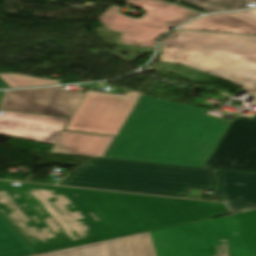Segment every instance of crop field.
Masks as SVG:
<instances>
[{
    "mask_svg": "<svg viewBox=\"0 0 256 256\" xmlns=\"http://www.w3.org/2000/svg\"><path fill=\"white\" fill-rule=\"evenodd\" d=\"M0 212L35 254L230 213L217 202L6 181Z\"/></svg>",
    "mask_w": 256,
    "mask_h": 256,
    "instance_id": "8a807250",
    "label": "crop field"
},
{
    "mask_svg": "<svg viewBox=\"0 0 256 256\" xmlns=\"http://www.w3.org/2000/svg\"><path fill=\"white\" fill-rule=\"evenodd\" d=\"M141 95L106 158L203 167L231 122Z\"/></svg>",
    "mask_w": 256,
    "mask_h": 256,
    "instance_id": "ac0d7876",
    "label": "crop field"
},
{
    "mask_svg": "<svg viewBox=\"0 0 256 256\" xmlns=\"http://www.w3.org/2000/svg\"><path fill=\"white\" fill-rule=\"evenodd\" d=\"M58 185L186 198L190 188L216 190L213 170L93 157Z\"/></svg>",
    "mask_w": 256,
    "mask_h": 256,
    "instance_id": "34b2d1b8",
    "label": "crop field"
},
{
    "mask_svg": "<svg viewBox=\"0 0 256 256\" xmlns=\"http://www.w3.org/2000/svg\"><path fill=\"white\" fill-rule=\"evenodd\" d=\"M160 61L231 80L256 97V37L178 31L163 40Z\"/></svg>",
    "mask_w": 256,
    "mask_h": 256,
    "instance_id": "412701ff",
    "label": "crop field"
},
{
    "mask_svg": "<svg viewBox=\"0 0 256 256\" xmlns=\"http://www.w3.org/2000/svg\"><path fill=\"white\" fill-rule=\"evenodd\" d=\"M150 233L156 256H256V210Z\"/></svg>",
    "mask_w": 256,
    "mask_h": 256,
    "instance_id": "f4fd0767",
    "label": "crop field"
},
{
    "mask_svg": "<svg viewBox=\"0 0 256 256\" xmlns=\"http://www.w3.org/2000/svg\"><path fill=\"white\" fill-rule=\"evenodd\" d=\"M126 3L143 8L141 19H132L119 13L113 5L98 21L110 30L123 34L122 39L129 45L154 47L161 35L177 25L198 15L178 6L155 0H130Z\"/></svg>",
    "mask_w": 256,
    "mask_h": 256,
    "instance_id": "dd49c442",
    "label": "crop field"
},
{
    "mask_svg": "<svg viewBox=\"0 0 256 256\" xmlns=\"http://www.w3.org/2000/svg\"><path fill=\"white\" fill-rule=\"evenodd\" d=\"M141 94L87 91L65 129L117 136Z\"/></svg>",
    "mask_w": 256,
    "mask_h": 256,
    "instance_id": "e52e79f7",
    "label": "crop field"
},
{
    "mask_svg": "<svg viewBox=\"0 0 256 256\" xmlns=\"http://www.w3.org/2000/svg\"><path fill=\"white\" fill-rule=\"evenodd\" d=\"M206 167L256 173V117L233 122Z\"/></svg>",
    "mask_w": 256,
    "mask_h": 256,
    "instance_id": "d8731c3e",
    "label": "crop field"
},
{
    "mask_svg": "<svg viewBox=\"0 0 256 256\" xmlns=\"http://www.w3.org/2000/svg\"><path fill=\"white\" fill-rule=\"evenodd\" d=\"M62 89L7 91L1 108L71 118L84 94Z\"/></svg>",
    "mask_w": 256,
    "mask_h": 256,
    "instance_id": "5a996713",
    "label": "crop field"
},
{
    "mask_svg": "<svg viewBox=\"0 0 256 256\" xmlns=\"http://www.w3.org/2000/svg\"><path fill=\"white\" fill-rule=\"evenodd\" d=\"M67 119L6 111L0 135L54 145Z\"/></svg>",
    "mask_w": 256,
    "mask_h": 256,
    "instance_id": "3316defc",
    "label": "crop field"
},
{
    "mask_svg": "<svg viewBox=\"0 0 256 256\" xmlns=\"http://www.w3.org/2000/svg\"><path fill=\"white\" fill-rule=\"evenodd\" d=\"M37 256H155V252L147 232Z\"/></svg>",
    "mask_w": 256,
    "mask_h": 256,
    "instance_id": "28ad6ade",
    "label": "crop field"
},
{
    "mask_svg": "<svg viewBox=\"0 0 256 256\" xmlns=\"http://www.w3.org/2000/svg\"><path fill=\"white\" fill-rule=\"evenodd\" d=\"M219 196L233 212L256 209V174L216 171Z\"/></svg>",
    "mask_w": 256,
    "mask_h": 256,
    "instance_id": "d1516ede",
    "label": "crop field"
},
{
    "mask_svg": "<svg viewBox=\"0 0 256 256\" xmlns=\"http://www.w3.org/2000/svg\"><path fill=\"white\" fill-rule=\"evenodd\" d=\"M113 138L62 131L51 152L103 157Z\"/></svg>",
    "mask_w": 256,
    "mask_h": 256,
    "instance_id": "22f410ed",
    "label": "crop field"
},
{
    "mask_svg": "<svg viewBox=\"0 0 256 256\" xmlns=\"http://www.w3.org/2000/svg\"><path fill=\"white\" fill-rule=\"evenodd\" d=\"M182 29L256 34V22L231 13L215 14L202 17Z\"/></svg>",
    "mask_w": 256,
    "mask_h": 256,
    "instance_id": "cbeb9de0",
    "label": "crop field"
},
{
    "mask_svg": "<svg viewBox=\"0 0 256 256\" xmlns=\"http://www.w3.org/2000/svg\"><path fill=\"white\" fill-rule=\"evenodd\" d=\"M33 251L0 213V256H31Z\"/></svg>",
    "mask_w": 256,
    "mask_h": 256,
    "instance_id": "5142ce71",
    "label": "crop field"
},
{
    "mask_svg": "<svg viewBox=\"0 0 256 256\" xmlns=\"http://www.w3.org/2000/svg\"><path fill=\"white\" fill-rule=\"evenodd\" d=\"M256 0H185V2L207 12L246 8L248 2Z\"/></svg>",
    "mask_w": 256,
    "mask_h": 256,
    "instance_id": "d9b57169",
    "label": "crop field"
},
{
    "mask_svg": "<svg viewBox=\"0 0 256 256\" xmlns=\"http://www.w3.org/2000/svg\"><path fill=\"white\" fill-rule=\"evenodd\" d=\"M0 78L12 88L58 84V80L34 78L22 74H0Z\"/></svg>",
    "mask_w": 256,
    "mask_h": 256,
    "instance_id": "733c2abd",
    "label": "crop field"
},
{
    "mask_svg": "<svg viewBox=\"0 0 256 256\" xmlns=\"http://www.w3.org/2000/svg\"><path fill=\"white\" fill-rule=\"evenodd\" d=\"M234 14L256 21V10Z\"/></svg>",
    "mask_w": 256,
    "mask_h": 256,
    "instance_id": "4a817a6b",
    "label": "crop field"
},
{
    "mask_svg": "<svg viewBox=\"0 0 256 256\" xmlns=\"http://www.w3.org/2000/svg\"><path fill=\"white\" fill-rule=\"evenodd\" d=\"M0 88H11L3 80L0 79Z\"/></svg>",
    "mask_w": 256,
    "mask_h": 256,
    "instance_id": "bc2a9ffb",
    "label": "crop field"
}]
</instances>
